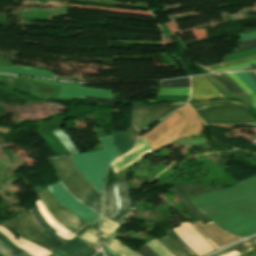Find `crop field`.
Instances as JSON below:
<instances>
[{
    "instance_id": "crop-field-1",
    "label": "crop field",
    "mask_w": 256,
    "mask_h": 256,
    "mask_svg": "<svg viewBox=\"0 0 256 256\" xmlns=\"http://www.w3.org/2000/svg\"><path fill=\"white\" fill-rule=\"evenodd\" d=\"M190 201L225 232L241 238L256 233V177Z\"/></svg>"
},
{
    "instance_id": "crop-field-2",
    "label": "crop field",
    "mask_w": 256,
    "mask_h": 256,
    "mask_svg": "<svg viewBox=\"0 0 256 256\" xmlns=\"http://www.w3.org/2000/svg\"><path fill=\"white\" fill-rule=\"evenodd\" d=\"M69 194L90 209L102 214V194L89 184L75 168L68 156L47 158Z\"/></svg>"
},
{
    "instance_id": "crop-field-3",
    "label": "crop field",
    "mask_w": 256,
    "mask_h": 256,
    "mask_svg": "<svg viewBox=\"0 0 256 256\" xmlns=\"http://www.w3.org/2000/svg\"><path fill=\"white\" fill-rule=\"evenodd\" d=\"M103 150L70 155L81 174L103 192V176L110 161L118 157L112 135L98 138Z\"/></svg>"
},
{
    "instance_id": "crop-field-4",
    "label": "crop field",
    "mask_w": 256,
    "mask_h": 256,
    "mask_svg": "<svg viewBox=\"0 0 256 256\" xmlns=\"http://www.w3.org/2000/svg\"><path fill=\"white\" fill-rule=\"evenodd\" d=\"M207 124H234L256 126V120L246 107L233 102H214L191 105Z\"/></svg>"
},
{
    "instance_id": "crop-field-5",
    "label": "crop field",
    "mask_w": 256,
    "mask_h": 256,
    "mask_svg": "<svg viewBox=\"0 0 256 256\" xmlns=\"http://www.w3.org/2000/svg\"><path fill=\"white\" fill-rule=\"evenodd\" d=\"M104 195L103 216L121 225L132 208L126 176L106 188Z\"/></svg>"
},
{
    "instance_id": "crop-field-6",
    "label": "crop field",
    "mask_w": 256,
    "mask_h": 256,
    "mask_svg": "<svg viewBox=\"0 0 256 256\" xmlns=\"http://www.w3.org/2000/svg\"><path fill=\"white\" fill-rule=\"evenodd\" d=\"M14 220L16 224L19 226L20 234L23 238H26L42 247H45L52 252L63 245L58 240L64 243H66L69 240L66 236L54 231L50 227L46 229L44 232L50 234L51 236L55 237L58 240L44 233L35 224V222L32 220L28 213L14 218Z\"/></svg>"
},
{
    "instance_id": "crop-field-7",
    "label": "crop field",
    "mask_w": 256,
    "mask_h": 256,
    "mask_svg": "<svg viewBox=\"0 0 256 256\" xmlns=\"http://www.w3.org/2000/svg\"><path fill=\"white\" fill-rule=\"evenodd\" d=\"M52 195L64 207H66L73 214L85 221L90 226L99 222L100 215L91 211L86 206L78 203L72 196H70L63 186L59 183L49 186Z\"/></svg>"
},
{
    "instance_id": "crop-field-8",
    "label": "crop field",
    "mask_w": 256,
    "mask_h": 256,
    "mask_svg": "<svg viewBox=\"0 0 256 256\" xmlns=\"http://www.w3.org/2000/svg\"><path fill=\"white\" fill-rule=\"evenodd\" d=\"M40 198L45 203L54 219L67 228L72 233L78 232L87 224L80 220L78 217L63 208L51 195L46 187L45 191L39 193Z\"/></svg>"
},
{
    "instance_id": "crop-field-9",
    "label": "crop field",
    "mask_w": 256,
    "mask_h": 256,
    "mask_svg": "<svg viewBox=\"0 0 256 256\" xmlns=\"http://www.w3.org/2000/svg\"><path fill=\"white\" fill-rule=\"evenodd\" d=\"M181 226L173 231L198 256H203L215 250L189 223H180Z\"/></svg>"
},
{
    "instance_id": "crop-field-10",
    "label": "crop field",
    "mask_w": 256,
    "mask_h": 256,
    "mask_svg": "<svg viewBox=\"0 0 256 256\" xmlns=\"http://www.w3.org/2000/svg\"><path fill=\"white\" fill-rule=\"evenodd\" d=\"M222 186L218 185L215 186L213 189H208L204 186L201 185H192V186H187L185 184H180L177 186H174L170 189H168L169 191H171L172 193H174L175 195H177L179 197V199L190 209V211L198 218L200 219L203 223L206 222L207 220H209L208 218H206L204 215H202L201 213H199L189 202L188 199L195 197L199 194H203L209 191H213V190H217V189H221Z\"/></svg>"
},
{
    "instance_id": "crop-field-11",
    "label": "crop field",
    "mask_w": 256,
    "mask_h": 256,
    "mask_svg": "<svg viewBox=\"0 0 256 256\" xmlns=\"http://www.w3.org/2000/svg\"><path fill=\"white\" fill-rule=\"evenodd\" d=\"M47 83L62 85V88L60 90L58 97L83 98L84 95H89V96L111 98V94H112V90H108V89L80 87V85L67 84V83H55V82H47Z\"/></svg>"
},
{
    "instance_id": "crop-field-12",
    "label": "crop field",
    "mask_w": 256,
    "mask_h": 256,
    "mask_svg": "<svg viewBox=\"0 0 256 256\" xmlns=\"http://www.w3.org/2000/svg\"><path fill=\"white\" fill-rule=\"evenodd\" d=\"M151 151L152 150L145 139L138 140L136 146L129 153L113 160L111 166L114 173L116 174L120 172L128 165Z\"/></svg>"
},
{
    "instance_id": "crop-field-13",
    "label": "crop field",
    "mask_w": 256,
    "mask_h": 256,
    "mask_svg": "<svg viewBox=\"0 0 256 256\" xmlns=\"http://www.w3.org/2000/svg\"><path fill=\"white\" fill-rule=\"evenodd\" d=\"M192 80L191 97L194 101L223 98L217 89L204 77H194Z\"/></svg>"
},
{
    "instance_id": "crop-field-14",
    "label": "crop field",
    "mask_w": 256,
    "mask_h": 256,
    "mask_svg": "<svg viewBox=\"0 0 256 256\" xmlns=\"http://www.w3.org/2000/svg\"><path fill=\"white\" fill-rule=\"evenodd\" d=\"M184 104L185 103H162L157 105H151L144 123V129Z\"/></svg>"
},
{
    "instance_id": "crop-field-15",
    "label": "crop field",
    "mask_w": 256,
    "mask_h": 256,
    "mask_svg": "<svg viewBox=\"0 0 256 256\" xmlns=\"http://www.w3.org/2000/svg\"><path fill=\"white\" fill-rule=\"evenodd\" d=\"M58 250L70 256H93L97 252L73 239Z\"/></svg>"
},
{
    "instance_id": "crop-field-16",
    "label": "crop field",
    "mask_w": 256,
    "mask_h": 256,
    "mask_svg": "<svg viewBox=\"0 0 256 256\" xmlns=\"http://www.w3.org/2000/svg\"><path fill=\"white\" fill-rule=\"evenodd\" d=\"M256 248V237L255 238H252V239H248V240H245L239 244H236L234 246H231L229 248H226L216 254H213L211 256H223L227 253H230L234 250H236L237 252H239L240 254L242 253H245L247 251H250L252 249ZM236 251L230 253V254H227L225 256H237L239 255V253H237Z\"/></svg>"
},
{
    "instance_id": "crop-field-17",
    "label": "crop field",
    "mask_w": 256,
    "mask_h": 256,
    "mask_svg": "<svg viewBox=\"0 0 256 256\" xmlns=\"http://www.w3.org/2000/svg\"><path fill=\"white\" fill-rule=\"evenodd\" d=\"M0 231H2L4 234H6L11 241H13L14 243H16L17 245H19L20 247H22L23 249H25L26 251H28L29 253H31L34 256H48L49 254H51L48 250H46V249H44L42 247H39V246H37L35 244H32V243H30V242H28L26 240H23L21 237L18 238L17 240L19 242H21V243H23V244L33 248L34 250H32V249H30V248H28V247L18 243L15 240L14 236L12 235V233L9 232L8 230H6L5 228L1 227V226H0Z\"/></svg>"
},
{
    "instance_id": "crop-field-18",
    "label": "crop field",
    "mask_w": 256,
    "mask_h": 256,
    "mask_svg": "<svg viewBox=\"0 0 256 256\" xmlns=\"http://www.w3.org/2000/svg\"><path fill=\"white\" fill-rule=\"evenodd\" d=\"M3 235L0 233V254L3 256H31L22 249L16 247L14 243Z\"/></svg>"
},
{
    "instance_id": "crop-field-19",
    "label": "crop field",
    "mask_w": 256,
    "mask_h": 256,
    "mask_svg": "<svg viewBox=\"0 0 256 256\" xmlns=\"http://www.w3.org/2000/svg\"><path fill=\"white\" fill-rule=\"evenodd\" d=\"M150 106L133 104L132 108V125L135 127L138 134L143 130L145 116Z\"/></svg>"
},
{
    "instance_id": "crop-field-20",
    "label": "crop field",
    "mask_w": 256,
    "mask_h": 256,
    "mask_svg": "<svg viewBox=\"0 0 256 256\" xmlns=\"http://www.w3.org/2000/svg\"><path fill=\"white\" fill-rule=\"evenodd\" d=\"M37 205V208L39 210V212L42 214V216L45 218V220L48 222V224L54 228L56 231L66 235L68 238H72L73 235L72 233H70L69 231H67L65 228H63L62 226H60L59 224H57L55 222V220L52 218V216L49 214V212L47 211V209L44 207V205L42 204V202L40 201V199L38 201L35 202Z\"/></svg>"
},
{
    "instance_id": "crop-field-21",
    "label": "crop field",
    "mask_w": 256,
    "mask_h": 256,
    "mask_svg": "<svg viewBox=\"0 0 256 256\" xmlns=\"http://www.w3.org/2000/svg\"><path fill=\"white\" fill-rule=\"evenodd\" d=\"M0 71H6V72H12V73H19V74H26V75H34V76H42V77H50V78H56V76L49 72L44 70H38V69H31V68H23V67H15L12 66L11 69L0 67Z\"/></svg>"
},
{
    "instance_id": "crop-field-22",
    "label": "crop field",
    "mask_w": 256,
    "mask_h": 256,
    "mask_svg": "<svg viewBox=\"0 0 256 256\" xmlns=\"http://www.w3.org/2000/svg\"><path fill=\"white\" fill-rule=\"evenodd\" d=\"M217 81L221 83L226 89L233 93H239L250 98L241 88H239L225 73L212 75Z\"/></svg>"
},
{
    "instance_id": "crop-field-23",
    "label": "crop field",
    "mask_w": 256,
    "mask_h": 256,
    "mask_svg": "<svg viewBox=\"0 0 256 256\" xmlns=\"http://www.w3.org/2000/svg\"><path fill=\"white\" fill-rule=\"evenodd\" d=\"M112 134L117 144L119 154L131 148L132 144L126 132H113Z\"/></svg>"
},
{
    "instance_id": "crop-field-24",
    "label": "crop field",
    "mask_w": 256,
    "mask_h": 256,
    "mask_svg": "<svg viewBox=\"0 0 256 256\" xmlns=\"http://www.w3.org/2000/svg\"><path fill=\"white\" fill-rule=\"evenodd\" d=\"M240 36L242 39H239L238 42L256 38V32L246 33ZM241 43L242 45H239V49L234 50V53L256 48V39L244 41Z\"/></svg>"
},
{
    "instance_id": "crop-field-25",
    "label": "crop field",
    "mask_w": 256,
    "mask_h": 256,
    "mask_svg": "<svg viewBox=\"0 0 256 256\" xmlns=\"http://www.w3.org/2000/svg\"><path fill=\"white\" fill-rule=\"evenodd\" d=\"M105 247L113 250L115 253L119 254L120 256H130L134 252L113 238L109 241V243Z\"/></svg>"
},
{
    "instance_id": "crop-field-26",
    "label": "crop field",
    "mask_w": 256,
    "mask_h": 256,
    "mask_svg": "<svg viewBox=\"0 0 256 256\" xmlns=\"http://www.w3.org/2000/svg\"><path fill=\"white\" fill-rule=\"evenodd\" d=\"M162 245H164L174 256H187L184 252H182L174 242L167 236H163L157 239Z\"/></svg>"
},
{
    "instance_id": "crop-field-27",
    "label": "crop field",
    "mask_w": 256,
    "mask_h": 256,
    "mask_svg": "<svg viewBox=\"0 0 256 256\" xmlns=\"http://www.w3.org/2000/svg\"><path fill=\"white\" fill-rule=\"evenodd\" d=\"M55 135L60 139V141L64 144L70 154L77 153L78 150L71 142V140L67 137V135L63 132L62 128L53 130Z\"/></svg>"
},
{
    "instance_id": "crop-field-28",
    "label": "crop field",
    "mask_w": 256,
    "mask_h": 256,
    "mask_svg": "<svg viewBox=\"0 0 256 256\" xmlns=\"http://www.w3.org/2000/svg\"><path fill=\"white\" fill-rule=\"evenodd\" d=\"M118 227H119V225H117L105 218H102L100 225H99V230L113 237V235Z\"/></svg>"
},
{
    "instance_id": "crop-field-29",
    "label": "crop field",
    "mask_w": 256,
    "mask_h": 256,
    "mask_svg": "<svg viewBox=\"0 0 256 256\" xmlns=\"http://www.w3.org/2000/svg\"><path fill=\"white\" fill-rule=\"evenodd\" d=\"M190 87L185 88H159L158 94L189 95Z\"/></svg>"
},
{
    "instance_id": "crop-field-30",
    "label": "crop field",
    "mask_w": 256,
    "mask_h": 256,
    "mask_svg": "<svg viewBox=\"0 0 256 256\" xmlns=\"http://www.w3.org/2000/svg\"><path fill=\"white\" fill-rule=\"evenodd\" d=\"M229 75L247 94H249L252 98L253 106L256 107V94L251 91L234 73H226Z\"/></svg>"
},
{
    "instance_id": "crop-field-31",
    "label": "crop field",
    "mask_w": 256,
    "mask_h": 256,
    "mask_svg": "<svg viewBox=\"0 0 256 256\" xmlns=\"http://www.w3.org/2000/svg\"><path fill=\"white\" fill-rule=\"evenodd\" d=\"M167 234L188 256H197L175 235L171 229L167 232Z\"/></svg>"
},
{
    "instance_id": "crop-field-32",
    "label": "crop field",
    "mask_w": 256,
    "mask_h": 256,
    "mask_svg": "<svg viewBox=\"0 0 256 256\" xmlns=\"http://www.w3.org/2000/svg\"><path fill=\"white\" fill-rule=\"evenodd\" d=\"M189 85V78L172 80V81H164L160 83L159 87H185Z\"/></svg>"
},
{
    "instance_id": "crop-field-33",
    "label": "crop field",
    "mask_w": 256,
    "mask_h": 256,
    "mask_svg": "<svg viewBox=\"0 0 256 256\" xmlns=\"http://www.w3.org/2000/svg\"><path fill=\"white\" fill-rule=\"evenodd\" d=\"M29 213L31 214V216L33 217L34 221L36 222V224L42 229H46L48 226V224L45 222V220L41 217V215L39 214L38 210L36 209V207L28 210Z\"/></svg>"
},
{
    "instance_id": "crop-field-34",
    "label": "crop field",
    "mask_w": 256,
    "mask_h": 256,
    "mask_svg": "<svg viewBox=\"0 0 256 256\" xmlns=\"http://www.w3.org/2000/svg\"><path fill=\"white\" fill-rule=\"evenodd\" d=\"M189 96H164L158 95V99L148 100L150 102H162V101H187Z\"/></svg>"
},
{
    "instance_id": "crop-field-35",
    "label": "crop field",
    "mask_w": 256,
    "mask_h": 256,
    "mask_svg": "<svg viewBox=\"0 0 256 256\" xmlns=\"http://www.w3.org/2000/svg\"><path fill=\"white\" fill-rule=\"evenodd\" d=\"M236 74L241 78V80L244 83H246L256 93V83L251 78V76L248 74V72L236 73Z\"/></svg>"
},
{
    "instance_id": "crop-field-36",
    "label": "crop field",
    "mask_w": 256,
    "mask_h": 256,
    "mask_svg": "<svg viewBox=\"0 0 256 256\" xmlns=\"http://www.w3.org/2000/svg\"><path fill=\"white\" fill-rule=\"evenodd\" d=\"M84 99L101 102V103H104V104H106L110 107H113L118 101V100H108V99H101V98L88 97V96H85Z\"/></svg>"
},
{
    "instance_id": "crop-field-37",
    "label": "crop field",
    "mask_w": 256,
    "mask_h": 256,
    "mask_svg": "<svg viewBox=\"0 0 256 256\" xmlns=\"http://www.w3.org/2000/svg\"><path fill=\"white\" fill-rule=\"evenodd\" d=\"M136 252H138L142 256H158L156 253H154L152 250H150L145 245L142 248L138 249Z\"/></svg>"
},
{
    "instance_id": "crop-field-38",
    "label": "crop field",
    "mask_w": 256,
    "mask_h": 256,
    "mask_svg": "<svg viewBox=\"0 0 256 256\" xmlns=\"http://www.w3.org/2000/svg\"><path fill=\"white\" fill-rule=\"evenodd\" d=\"M80 237L85 240H88V241L94 243L96 246H98L97 237L91 235L90 233L85 231L83 234L80 235Z\"/></svg>"
},
{
    "instance_id": "crop-field-39",
    "label": "crop field",
    "mask_w": 256,
    "mask_h": 256,
    "mask_svg": "<svg viewBox=\"0 0 256 256\" xmlns=\"http://www.w3.org/2000/svg\"><path fill=\"white\" fill-rule=\"evenodd\" d=\"M255 63H256V60H255V61H252V62H248V63H244V64L232 66V67H227V68H220V69L212 70V71H213V72H216V71H222V70L237 69V68L244 67V66H248V65H251V64H255Z\"/></svg>"
},
{
    "instance_id": "crop-field-40",
    "label": "crop field",
    "mask_w": 256,
    "mask_h": 256,
    "mask_svg": "<svg viewBox=\"0 0 256 256\" xmlns=\"http://www.w3.org/2000/svg\"><path fill=\"white\" fill-rule=\"evenodd\" d=\"M126 131L131 138L132 144L134 145L135 139L138 135L137 132L134 130V128L132 126L130 128H128Z\"/></svg>"
},
{
    "instance_id": "crop-field-41",
    "label": "crop field",
    "mask_w": 256,
    "mask_h": 256,
    "mask_svg": "<svg viewBox=\"0 0 256 256\" xmlns=\"http://www.w3.org/2000/svg\"><path fill=\"white\" fill-rule=\"evenodd\" d=\"M74 239L80 241L81 243H83V244H85V245L90 244V243H88L87 241H85V240H83V239H81V238H79V237H77V236H75Z\"/></svg>"
},
{
    "instance_id": "crop-field-42",
    "label": "crop field",
    "mask_w": 256,
    "mask_h": 256,
    "mask_svg": "<svg viewBox=\"0 0 256 256\" xmlns=\"http://www.w3.org/2000/svg\"><path fill=\"white\" fill-rule=\"evenodd\" d=\"M100 237L106 239L107 241L111 238L110 236H108V235H106V234H104L102 232H100Z\"/></svg>"
},
{
    "instance_id": "crop-field-43",
    "label": "crop field",
    "mask_w": 256,
    "mask_h": 256,
    "mask_svg": "<svg viewBox=\"0 0 256 256\" xmlns=\"http://www.w3.org/2000/svg\"><path fill=\"white\" fill-rule=\"evenodd\" d=\"M54 253V255H56V256H68V255H66V254H64V253H62V252H60V251H55V252H53Z\"/></svg>"
},
{
    "instance_id": "crop-field-44",
    "label": "crop field",
    "mask_w": 256,
    "mask_h": 256,
    "mask_svg": "<svg viewBox=\"0 0 256 256\" xmlns=\"http://www.w3.org/2000/svg\"><path fill=\"white\" fill-rule=\"evenodd\" d=\"M86 231L92 233L93 235L97 236V231L92 229L91 227L89 229H87Z\"/></svg>"
},
{
    "instance_id": "crop-field-45",
    "label": "crop field",
    "mask_w": 256,
    "mask_h": 256,
    "mask_svg": "<svg viewBox=\"0 0 256 256\" xmlns=\"http://www.w3.org/2000/svg\"><path fill=\"white\" fill-rule=\"evenodd\" d=\"M250 73V75L254 78V80L256 81V75H255V73L254 72H249Z\"/></svg>"
},
{
    "instance_id": "crop-field-46",
    "label": "crop field",
    "mask_w": 256,
    "mask_h": 256,
    "mask_svg": "<svg viewBox=\"0 0 256 256\" xmlns=\"http://www.w3.org/2000/svg\"><path fill=\"white\" fill-rule=\"evenodd\" d=\"M247 70H256V66L252 67V68H249V69H245L244 71H247Z\"/></svg>"
},
{
    "instance_id": "crop-field-47",
    "label": "crop field",
    "mask_w": 256,
    "mask_h": 256,
    "mask_svg": "<svg viewBox=\"0 0 256 256\" xmlns=\"http://www.w3.org/2000/svg\"><path fill=\"white\" fill-rule=\"evenodd\" d=\"M104 253H105V255H107V256H112V255L108 254V253H107V252H105V251H104Z\"/></svg>"
},
{
    "instance_id": "crop-field-48",
    "label": "crop field",
    "mask_w": 256,
    "mask_h": 256,
    "mask_svg": "<svg viewBox=\"0 0 256 256\" xmlns=\"http://www.w3.org/2000/svg\"><path fill=\"white\" fill-rule=\"evenodd\" d=\"M133 256H140L138 253H135Z\"/></svg>"
},
{
    "instance_id": "crop-field-49",
    "label": "crop field",
    "mask_w": 256,
    "mask_h": 256,
    "mask_svg": "<svg viewBox=\"0 0 256 256\" xmlns=\"http://www.w3.org/2000/svg\"><path fill=\"white\" fill-rule=\"evenodd\" d=\"M240 71H243V70H240ZM235 72H239V71H235Z\"/></svg>"
},
{
    "instance_id": "crop-field-50",
    "label": "crop field",
    "mask_w": 256,
    "mask_h": 256,
    "mask_svg": "<svg viewBox=\"0 0 256 256\" xmlns=\"http://www.w3.org/2000/svg\"><path fill=\"white\" fill-rule=\"evenodd\" d=\"M50 256H53L52 254Z\"/></svg>"
},
{
    "instance_id": "crop-field-51",
    "label": "crop field",
    "mask_w": 256,
    "mask_h": 256,
    "mask_svg": "<svg viewBox=\"0 0 256 256\" xmlns=\"http://www.w3.org/2000/svg\"><path fill=\"white\" fill-rule=\"evenodd\" d=\"M256 73V72H255Z\"/></svg>"
}]
</instances>
